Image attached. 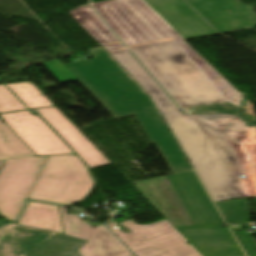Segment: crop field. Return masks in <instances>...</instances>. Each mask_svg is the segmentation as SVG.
<instances>
[{"mask_svg":"<svg viewBox=\"0 0 256 256\" xmlns=\"http://www.w3.org/2000/svg\"><path fill=\"white\" fill-rule=\"evenodd\" d=\"M18 224L64 234L60 208L57 205L30 201Z\"/></svg>","mask_w":256,"mask_h":256,"instance_id":"5142ce71","label":"crop field"},{"mask_svg":"<svg viewBox=\"0 0 256 256\" xmlns=\"http://www.w3.org/2000/svg\"><path fill=\"white\" fill-rule=\"evenodd\" d=\"M43 65L48 68L63 83L76 80V78L58 59L43 63Z\"/></svg>","mask_w":256,"mask_h":256,"instance_id":"dafd665d","label":"crop field"},{"mask_svg":"<svg viewBox=\"0 0 256 256\" xmlns=\"http://www.w3.org/2000/svg\"><path fill=\"white\" fill-rule=\"evenodd\" d=\"M130 256H133V255H130Z\"/></svg>","mask_w":256,"mask_h":256,"instance_id":"a9b5d70f","label":"crop field"},{"mask_svg":"<svg viewBox=\"0 0 256 256\" xmlns=\"http://www.w3.org/2000/svg\"><path fill=\"white\" fill-rule=\"evenodd\" d=\"M168 179L196 225L175 228L203 256H244L194 171Z\"/></svg>","mask_w":256,"mask_h":256,"instance_id":"f4fd0767","label":"crop field"},{"mask_svg":"<svg viewBox=\"0 0 256 256\" xmlns=\"http://www.w3.org/2000/svg\"><path fill=\"white\" fill-rule=\"evenodd\" d=\"M94 185L77 155L50 156L29 198L70 206L83 201Z\"/></svg>","mask_w":256,"mask_h":256,"instance_id":"dd49c442","label":"crop field"},{"mask_svg":"<svg viewBox=\"0 0 256 256\" xmlns=\"http://www.w3.org/2000/svg\"><path fill=\"white\" fill-rule=\"evenodd\" d=\"M70 14L104 49L122 45L91 6L77 8Z\"/></svg>","mask_w":256,"mask_h":256,"instance_id":"d9b57169","label":"crop field"},{"mask_svg":"<svg viewBox=\"0 0 256 256\" xmlns=\"http://www.w3.org/2000/svg\"><path fill=\"white\" fill-rule=\"evenodd\" d=\"M150 94L214 201L245 198L236 177L242 172L222 135L192 116L174 115L178 108L150 78L124 46L107 49Z\"/></svg>","mask_w":256,"mask_h":256,"instance_id":"8a807250","label":"crop field"},{"mask_svg":"<svg viewBox=\"0 0 256 256\" xmlns=\"http://www.w3.org/2000/svg\"><path fill=\"white\" fill-rule=\"evenodd\" d=\"M220 32L250 29L256 25L253 8L236 0L227 15L207 19Z\"/></svg>","mask_w":256,"mask_h":256,"instance_id":"733c2abd","label":"crop field"},{"mask_svg":"<svg viewBox=\"0 0 256 256\" xmlns=\"http://www.w3.org/2000/svg\"><path fill=\"white\" fill-rule=\"evenodd\" d=\"M85 242L14 223L0 229V256H81L76 250Z\"/></svg>","mask_w":256,"mask_h":256,"instance_id":"d8731c3e","label":"crop field"},{"mask_svg":"<svg viewBox=\"0 0 256 256\" xmlns=\"http://www.w3.org/2000/svg\"><path fill=\"white\" fill-rule=\"evenodd\" d=\"M37 110L87 162L91 169L111 164V162L56 107Z\"/></svg>","mask_w":256,"mask_h":256,"instance_id":"cbeb9de0","label":"crop field"},{"mask_svg":"<svg viewBox=\"0 0 256 256\" xmlns=\"http://www.w3.org/2000/svg\"><path fill=\"white\" fill-rule=\"evenodd\" d=\"M184 40L217 35L184 0H142Z\"/></svg>","mask_w":256,"mask_h":256,"instance_id":"22f410ed","label":"crop field"},{"mask_svg":"<svg viewBox=\"0 0 256 256\" xmlns=\"http://www.w3.org/2000/svg\"><path fill=\"white\" fill-rule=\"evenodd\" d=\"M126 45L173 38L225 98L221 104L186 108L189 113L238 112L244 93L237 91L141 0H108L93 4Z\"/></svg>","mask_w":256,"mask_h":256,"instance_id":"34b2d1b8","label":"crop field"},{"mask_svg":"<svg viewBox=\"0 0 256 256\" xmlns=\"http://www.w3.org/2000/svg\"><path fill=\"white\" fill-rule=\"evenodd\" d=\"M205 18L227 14L235 0H187Z\"/></svg>","mask_w":256,"mask_h":256,"instance_id":"214f88e0","label":"crop field"},{"mask_svg":"<svg viewBox=\"0 0 256 256\" xmlns=\"http://www.w3.org/2000/svg\"><path fill=\"white\" fill-rule=\"evenodd\" d=\"M6 85L29 109L54 106L32 81Z\"/></svg>","mask_w":256,"mask_h":256,"instance_id":"bc2a9ffb","label":"crop field"},{"mask_svg":"<svg viewBox=\"0 0 256 256\" xmlns=\"http://www.w3.org/2000/svg\"><path fill=\"white\" fill-rule=\"evenodd\" d=\"M27 109L4 85H0V113Z\"/></svg>","mask_w":256,"mask_h":256,"instance_id":"92a150f3","label":"crop field"},{"mask_svg":"<svg viewBox=\"0 0 256 256\" xmlns=\"http://www.w3.org/2000/svg\"><path fill=\"white\" fill-rule=\"evenodd\" d=\"M0 117L37 156L73 153L39 116H33L29 110L1 113Z\"/></svg>","mask_w":256,"mask_h":256,"instance_id":"28ad6ade","label":"crop field"},{"mask_svg":"<svg viewBox=\"0 0 256 256\" xmlns=\"http://www.w3.org/2000/svg\"><path fill=\"white\" fill-rule=\"evenodd\" d=\"M65 234L89 240L77 251L82 256H125L131 253L104 226L93 228L78 215H66L65 207L60 206Z\"/></svg>","mask_w":256,"mask_h":256,"instance_id":"d1516ede","label":"crop field"},{"mask_svg":"<svg viewBox=\"0 0 256 256\" xmlns=\"http://www.w3.org/2000/svg\"><path fill=\"white\" fill-rule=\"evenodd\" d=\"M2 163H0V166H1Z\"/></svg>","mask_w":256,"mask_h":256,"instance_id":"00972430","label":"crop field"},{"mask_svg":"<svg viewBox=\"0 0 256 256\" xmlns=\"http://www.w3.org/2000/svg\"><path fill=\"white\" fill-rule=\"evenodd\" d=\"M48 156L6 160L0 172V215L18 219Z\"/></svg>","mask_w":256,"mask_h":256,"instance_id":"3316defc","label":"crop field"},{"mask_svg":"<svg viewBox=\"0 0 256 256\" xmlns=\"http://www.w3.org/2000/svg\"><path fill=\"white\" fill-rule=\"evenodd\" d=\"M120 224L131 233H123L114 220L107 226L136 256H201L166 219L150 225L133 219Z\"/></svg>","mask_w":256,"mask_h":256,"instance_id":"e52e79f7","label":"crop field"},{"mask_svg":"<svg viewBox=\"0 0 256 256\" xmlns=\"http://www.w3.org/2000/svg\"><path fill=\"white\" fill-rule=\"evenodd\" d=\"M129 48L181 108L217 104L224 99L173 39Z\"/></svg>","mask_w":256,"mask_h":256,"instance_id":"412701ff","label":"crop field"},{"mask_svg":"<svg viewBox=\"0 0 256 256\" xmlns=\"http://www.w3.org/2000/svg\"><path fill=\"white\" fill-rule=\"evenodd\" d=\"M32 156L36 155L6 124L0 121V162H3V159Z\"/></svg>","mask_w":256,"mask_h":256,"instance_id":"4a817a6b","label":"crop field"},{"mask_svg":"<svg viewBox=\"0 0 256 256\" xmlns=\"http://www.w3.org/2000/svg\"><path fill=\"white\" fill-rule=\"evenodd\" d=\"M89 53L94 58L65 66L114 118L135 115L172 172L190 170L179 146L143 90L102 48Z\"/></svg>","mask_w":256,"mask_h":256,"instance_id":"ac0d7876","label":"crop field"},{"mask_svg":"<svg viewBox=\"0 0 256 256\" xmlns=\"http://www.w3.org/2000/svg\"><path fill=\"white\" fill-rule=\"evenodd\" d=\"M195 118L220 132L229 144L238 164L244 171L238 179L246 197H256V128L229 114H193ZM246 178L242 179L240 175Z\"/></svg>","mask_w":256,"mask_h":256,"instance_id":"5a996713","label":"crop field"}]
</instances>
